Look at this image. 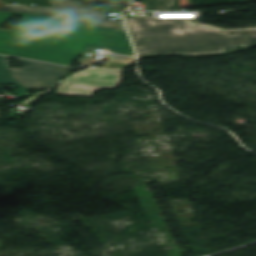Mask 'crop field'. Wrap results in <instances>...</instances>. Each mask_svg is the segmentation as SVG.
I'll use <instances>...</instances> for the list:
<instances>
[{"instance_id":"obj_2","label":"crop field","mask_w":256,"mask_h":256,"mask_svg":"<svg viewBox=\"0 0 256 256\" xmlns=\"http://www.w3.org/2000/svg\"><path fill=\"white\" fill-rule=\"evenodd\" d=\"M126 20L140 58L222 55L256 46V25L223 30L193 19H154L153 14Z\"/></svg>"},{"instance_id":"obj_1","label":"crop field","mask_w":256,"mask_h":256,"mask_svg":"<svg viewBox=\"0 0 256 256\" xmlns=\"http://www.w3.org/2000/svg\"><path fill=\"white\" fill-rule=\"evenodd\" d=\"M12 16L0 12V25ZM90 46L135 56L126 32L84 21L26 13L16 30H0V54L69 66Z\"/></svg>"},{"instance_id":"obj_4","label":"crop field","mask_w":256,"mask_h":256,"mask_svg":"<svg viewBox=\"0 0 256 256\" xmlns=\"http://www.w3.org/2000/svg\"><path fill=\"white\" fill-rule=\"evenodd\" d=\"M123 71L87 70L63 82L55 94L92 97L99 88L114 89L121 84Z\"/></svg>"},{"instance_id":"obj_7","label":"crop field","mask_w":256,"mask_h":256,"mask_svg":"<svg viewBox=\"0 0 256 256\" xmlns=\"http://www.w3.org/2000/svg\"><path fill=\"white\" fill-rule=\"evenodd\" d=\"M146 10L179 9L178 0H144Z\"/></svg>"},{"instance_id":"obj_9","label":"crop field","mask_w":256,"mask_h":256,"mask_svg":"<svg viewBox=\"0 0 256 256\" xmlns=\"http://www.w3.org/2000/svg\"><path fill=\"white\" fill-rule=\"evenodd\" d=\"M109 1H110L111 8H118V5L115 0H109Z\"/></svg>"},{"instance_id":"obj_6","label":"crop field","mask_w":256,"mask_h":256,"mask_svg":"<svg viewBox=\"0 0 256 256\" xmlns=\"http://www.w3.org/2000/svg\"><path fill=\"white\" fill-rule=\"evenodd\" d=\"M0 83H11L18 87L17 96L27 95V89L9 72V58L0 56Z\"/></svg>"},{"instance_id":"obj_8","label":"crop field","mask_w":256,"mask_h":256,"mask_svg":"<svg viewBox=\"0 0 256 256\" xmlns=\"http://www.w3.org/2000/svg\"><path fill=\"white\" fill-rule=\"evenodd\" d=\"M119 11H125V7H128L127 1H118Z\"/></svg>"},{"instance_id":"obj_11","label":"crop field","mask_w":256,"mask_h":256,"mask_svg":"<svg viewBox=\"0 0 256 256\" xmlns=\"http://www.w3.org/2000/svg\"><path fill=\"white\" fill-rule=\"evenodd\" d=\"M7 4H5L2 0H0V8L6 6Z\"/></svg>"},{"instance_id":"obj_3","label":"crop field","mask_w":256,"mask_h":256,"mask_svg":"<svg viewBox=\"0 0 256 256\" xmlns=\"http://www.w3.org/2000/svg\"><path fill=\"white\" fill-rule=\"evenodd\" d=\"M54 8L22 5L6 6L0 11L28 12L47 16L73 18L94 23L103 28L125 30L123 21H108L105 12L85 11V6L77 0H50Z\"/></svg>"},{"instance_id":"obj_5","label":"crop field","mask_w":256,"mask_h":256,"mask_svg":"<svg viewBox=\"0 0 256 256\" xmlns=\"http://www.w3.org/2000/svg\"><path fill=\"white\" fill-rule=\"evenodd\" d=\"M24 68H11V73L28 89L46 91L68 72L70 68L17 59Z\"/></svg>"},{"instance_id":"obj_10","label":"crop field","mask_w":256,"mask_h":256,"mask_svg":"<svg viewBox=\"0 0 256 256\" xmlns=\"http://www.w3.org/2000/svg\"><path fill=\"white\" fill-rule=\"evenodd\" d=\"M25 13H13V16L23 17Z\"/></svg>"}]
</instances>
